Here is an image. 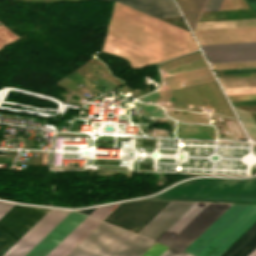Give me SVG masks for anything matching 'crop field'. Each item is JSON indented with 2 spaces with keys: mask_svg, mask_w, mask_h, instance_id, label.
<instances>
[{
  "mask_svg": "<svg viewBox=\"0 0 256 256\" xmlns=\"http://www.w3.org/2000/svg\"><path fill=\"white\" fill-rule=\"evenodd\" d=\"M230 206L196 203L158 242L184 251Z\"/></svg>",
  "mask_w": 256,
  "mask_h": 256,
  "instance_id": "34b2d1b8",
  "label": "crop field"
},
{
  "mask_svg": "<svg viewBox=\"0 0 256 256\" xmlns=\"http://www.w3.org/2000/svg\"><path fill=\"white\" fill-rule=\"evenodd\" d=\"M118 204L97 208L90 216L103 220Z\"/></svg>",
  "mask_w": 256,
  "mask_h": 256,
  "instance_id": "cbeb9de0",
  "label": "crop field"
},
{
  "mask_svg": "<svg viewBox=\"0 0 256 256\" xmlns=\"http://www.w3.org/2000/svg\"><path fill=\"white\" fill-rule=\"evenodd\" d=\"M195 203L171 202L139 234L157 241Z\"/></svg>",
  "mask_w": 256,
  "mask_h": 256,
  "instance_id": "d8731c3e",
  "label": "crop field"
},
{
  "mask_svg": "<svg viewBox=\"0 0 256 256\" xmlns=\"http://www.w3.org/2000/svg\"><path fill=\"white\" fill-rule=\"evenodd\" d=\"M14 205L0 202V218L4 216Z\"/></svg>",
  "mask_w": 256,
  "mask_h": 256,
  "instance_id": "bc2a9ffb",
  "label": "crop field"
},
{
  "mask_svg": "<svg viewBox=\"0 0 256 256\" xmlns=\"http://www.w3.org/2000/svg\"><path fill=\"white\" fill-rule=\"evenodd\" d=\"M86 215L71 211L42 241L26 256H46Z\"/></svg>",
  "mask_w": 256,
  "mask_h": 256,
  "instance_id": "5a996713",
  "label": "crop field"
},
{
  "mask_svg": "<svg viewBox=\"0 0 256 256\" xmlns=\"http://www.w3.org/2000/svg\"><path fill=\"white\" fill-rule=\"evenodd\" d=\"M95 209H96V208H95ZM95 209L82 210V211H80V212H83V213L89 215V214H90L92 211H94Z\"/></svg>",
  "mask_w": 256,
  "mask_h": 256,
  "instance_id": "92a150f3",
  "label": "crop field"
},
{
  "mask_svg": "<svg viewBox=\"0 0 256 256\" xmlns=\"http://www.w3.org/2000/svg\"><path fill=\"white\" fill-rule=\"evenodd\" d=\"M170 202L135 200L122 203L105 222L138 233Z\"/></svg>",
  "mask_w": 256,
  "mask_h": 256,
  "instance_id": "f4fd0767",
  "label": "crop field"
},
{
  "mask_svg": "<svg viewBox=\"0 0 256 256\" xmlns=\"http://www.w3.org/2000/svg\"><path fill=\"white\" fill-rule=\"evenodd\" d=\"M50 209L15 205L0 219V256L5 254Z\"/></svg>",
  "mask_w": 256,
  "mask_h": 256,
  "instance_id": "412701ff",
  "label": "crop field"
},
{
  "mask_svg": "<svg viewBox=\"0 0 256 256\" xmlns=\"http://www.w3.org/2000/svg\"><path fill=\"white\" fill-rule=\"evenodd\" d=\"M177 2L193 30L206 0H177Z\"/></svg>",
  "mask_w": 256,
  "mask_h": 256,
  "instance_id": "22f410ed",
  "label": "crop field"
},
{
  "mask_svg": "<svg viewBox=\"0 0 256 256\" xmlns=\"http://www.w3.org/2000/svg\"><path fill=\"white\" fill-rule=\"evenodd\" d=\"M168 246L156 242L143 256H160Z\"/></svg>",
  "mask_w": 256,
  "mask_h": 256,
  "instance_id": "5142ce71",
  "label": "crop field"
},
{
  "mask_svg": "<svg viewBox=\"0 0 256 256\" xmlns=\"http://www.w3.org/2000/svg\"><path fill=\"white\" fill-rule=\"evenodd\" d=\"M233 106H241V105H256V100L254 101H238V102H231Z\"/></svg>",
  "mask_w": 256,
  "mask_h": 256,
  "instance_id": "214f88e0",
  "label": "crop field"
},
{
  "mask_svg": "<svg viewBox=\"0 0 256 256\" xmlns=\"http://www.w3.org/2000/svg\"><path fill=\"white\" fill-rule=\"evenodd\" d=\"M255 220L256 206L232 205L185 252L207 256L218 247L209 256H220Z\"/></svg>",
  "mask_w": 256,
  "mask_h": 256,
  "instance_id": "8a807250",
  "label": "crop field"
},
{
  "mask_svg": "<svg viewBox=\"0 0 256 256\" xmlns=\"http://www.w3.org/2000/svg\"><path fill=\"white\" fill-rule=\"evenodd\" d=\"M70 211L51 209L31 228L5 255L25 256L42 240Z\"/></svg>",
  "mask_w": 256,
  "mask_h": 256,
  "instance_id": "dd49c442",
  "label": "crop field"
},
{
  "mask_svg": "<svg viewBox=\"0 0 256 256\" xmlns=\"http://www.w3.org/2000/svg\"><path fill=\"white\" fill-rule=\"evenodd\" d=\"M99 223L100 221L87 217L48 256H65Z\"/></svg>",
  "mask_w": 256,
  "mask_h": 256,
  "instance_id": "28ad6ade",
  "label": "crop field"
},
{
  "mask_svg": "<svg viewBox=\"0 0 256 256\" xmlns=\"http://www.w3.org/2000/svg\"><path fill=\"white\" fill-rule=\"evenodd\" d=\"M256 248V223L222 256H248Z\"/></svg>",
  "mask_w": 256,
  "mask_h": 256,
  "instance_id": "d1516ede",
  "label": "crop field"
},
{
  "mask_svg": "<svg viewBox=\"0 0 256 256\" xmlns=\"http://www.w3.org/2000/svg\"><path fill=\"white\" fill-rule=\"evenodd\" d=\"M110 1V0H109ZM156 18L180 15L173 0H114Z\"/></svg>",
  "mask_w": 256,
  "mask_h": 256,
  "instance_id": "3316defc",
  "label": "crop field"
},
{
  "mask_svg": "<svg viewBox=\"0 0 256 256\" xmlns=\"http://www.w3.org/2000/svg\"><path fill=\"white\" fill-rule=\"evenodd\" d=\"M161 256H191V255L169 247Z\"/></svg>",
  "mask_w": 256,
  "mask_h": 256,
  "instance_id": "733c2abd",
  "label": "crop field"
},
{
  "mask_svg": "<svg viewBox=\"0 0 256 256\" xmlns=\"http://www.w3.org/2000/svg\"><path fill=\"white\" fill-rule=\"evenodd\" d=\"M209 62L256 60V42L202 46Z\"/></svg>",
  "mask_w": 256,
  "mask_h": 256,
  "instance_id": "e52e79f7",
  "label": "crop field"
},
{
  "mask_svg": "<svg viewBox=\"0 0 256 256\" xmlns=\"http://www.w3.org/2000/svg\"><path fill=\"white\" fill-rule=\"evenodd\" d=\"M249 256H256V250L253 251Z\"/></svg>",
  "mask_w": 256,
  "mask_h": 256,
  "instance_id": "dafd665d",
  "label": "crop field"
},
{
  "mask_svg": "<svg viewBox=\"0 0 256 256\" xmlns=\"http://www.w3.org/2000/svg\"><path fill=\"white\" fill-rule=\"evenodd\" d=\"M230 101H238V100H253L256 99V94L250 95H235V96H228Z\"/></svg>",
  "mask_w": 256,
  "mask_h": 256,
  "instance_id": "4a817a6b",
  "label": "crop field"
},
{
  "mask_svg": "<svg viewBox=\"0 0 256 256\" xmlns=\"http://www.w3.org/2000/svg\"><path fill=\"white\" fill-rule=\"evenodd\" d=\"M222 0H208L204 11L219 10Z\"/></svg>",
  "mask_w": 256,
  "mask_h": 256,
  "instance_id": "d9b57169",
  "label": "crop field"
},
{
  "mask_svg": "<svg viewBox=\"0 0 256 256\" xmlns=\"http://www.w3.org/2000/svg\"><path fill=\"white\" fill-rule=\"evenodd\" d=\"M154 243L102 222L67 256H142Z\"/></svg>",
  "mask_w": 256,
  "mask_h": 256,
  "instance_id": "ac0d7876",
  "label": "crop field"
}]
</instances>
